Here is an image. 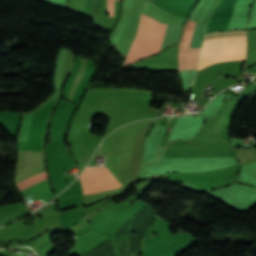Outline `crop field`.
I'll use <instances>...</instances> for the list:
<instances>
[{"label": "crop field", "instance_id": "obj_7", "mask_svg": "<svg viewBox=\"0 0 256 256\" xmlns=\"http://www.w3.org/2000/svg\"><path fill=\"white\" fill-rule=\"evenodd\" d=\"M25 154H26V151H18V161H17V165H16V175L23 172Z\"/></svg>", "mask_w": 256, "mask_h": 256}, {"label": "crop field", "instance_id": "obj_5", "mask_svg": "<svg viewBox=\"0 0 256 256\" xmlns=\"http://www.w3.org/2000/svg\"><path fill=\"white\" fill-rule=\"evenodd\" d=\"M31 115L24 114L19 140L26 141Z\"/></svg>", "mask_w": 256, "mask_h": 256}, {"label": "crop field", "instance_id": "obj_6", "mask_svg": "<svg viewBox=\"0 0 256 256\" xmlns=\"http://www.w3.org/2000/svg\"><path fill=\"white\" fill-rule=\"evenodd\" d=\"M85 63H86V60L85 59H83V61H82V63H81V65H80V68H79V70H78V73H77V75H76V78H75V80H74V83H73V85H72V88H71V90H70V93H69V96H68V100L71 98V96H72V94H73V92H74V90H75V87H76V85H77V83H78V81H79V79H80V77H81V75H82V73H83V70H84V68H85ZM87 64V63H86ZM85 71V70H84ZM84 74V73H83ZM83 76V75H82ZM82 78V77H81ZM81 81V80H80ZM80 83V82H79ZM79 85V84H78ZM78 87V86H77ZM77 89V88H76ZM76 91V90H75ZM75 93V92H74ZM74 95V94H73ZM73 97V96H72ZM72 99V98H71Z\"/></svg>", "mask_w": 256, "mask_h": 256}, {"label": "crop field", "instance_id": "obj_1", "mask_svg": "<svg viewBox=\"0 0 256 256\" xmlns=\"http://www.w3.org/2000/svg\"><path fill=\"white\" fill-rule=\"evenodd\" d=\"M231 35H246V31H232V32H215L205 35V39L231 36ZM246 52V36H231L218 39L206 40L200 51L199 60L220 54V53H237ZM246 53L237 54H220L205 58L199 61L198 70L207 67L211 64L230 61V60H244Z\"/></svg>", "mask_w": 256, "mask_h": 256}, {"label": "crop field", "instance_id": "obj_4", "mask_svg": "<svg viewBox=\"0 0 256 256\" xmlns=\"http://www.w3.org/2000/svg\"><path fill=\"white\" fill-rule=\"evenodd\" d=\"M105 168V166L85 168L84 172L79 178L80 183L82 185L83 194L92 185V183L97 179V177L103 172ZM120 186L122 185L106 168L85 194L114 189Z\"/></svg>", "mask_w": 256, "mask_h": 256}, {"label": "crop field", "instance_id": "obj_3", "mask_svg": "<svg viewBox=\"0 0 256 256\" xmlns=\"http://www.w3.org/2000/svg\"><path fill=\"white\" fill-rule=\"evenodd\" d=\"M195 22L188 20L184 27L183 38L179 43V48H189L195 28ZM204 37V26L196 24L194 36L190 48H199ZM179 50H199V49H179ZM199 51H179L178 70L196 69L197 56Z\"/></svg>", "mask_w": 256, "mask_h": 256}, {"label": "crop field", "instance_id": "obj_8", "mask_svg": "<svg viewBox=\"0 0 256 256\" xmlns=\"http://www.w3.org/2000/svg\"><path fill=\"white\" fill-rule=\"evenodd\" d=\"M107 6H108L109 17H111L112 16V0H107ZM113 16H114V0H113Z\"/></svg>", "mask_w": 256, "mask_h": 256}, {"label": "crop field", "instance_id": "obj_2", "mask_svg": "<svg viewBox=\"0 0 256 256\" xmlns=\"http://www.w3.org/2000/svg\"><path fill=\"white\" fill-rule=\"evenodd\" d=\"M159 24L156 20L141 14L138 30L124 65L132 64L142 58L159 53L167 27V25L161 23V31L159 28L160 33H157Z\"/></svg>", "mask_w": 256, "mask_h": 256}]
</instances>
